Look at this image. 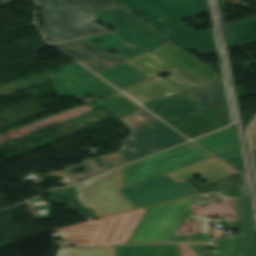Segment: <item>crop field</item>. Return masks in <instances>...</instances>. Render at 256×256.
I'll return each mask as SVG.
<instances>
[{
  "label": "crop field",
  "instance_id": "8a807250",
  "mask_svg": "<svg viewBox=\"0 0 256 256\" xmlns=\"http://www.w3.org/2000/svg\"><path fill=\"white\" fill-rule=\"evenodd\" d=\"M122 120L132 128L131 136L122 143V149L116 154L98 157L103 160V168L98 167L93 159H89L83 161L82 165L68 166L65 171L50 172L47 175L63 177L64 181L60 183L68 186L82 178H89L186 140L144 110ZM151 148L156 150L152 151ZM80 167L87 171L73 175V171Z\"/></svg>",
  "mask_w": 256,
  "mask_h": 256
},
{
  "label": "crop field",
  "instance_id": "ac0d7876",
  "mask_svg": "<svg viewBox=\"0 0 256 256\" xmlns=\"http://www.w3.org/2000/svg\"><path fill=\"white\" fill-rule=\"evenodd\" d=\"M185 49L216 54L213 30L196 33L180 20L207 13L206 0H114ZM178 21L174 26L171 23Z\"/></svg>",
  "mask_w": 256,
  "mask_h": 256
},
{
  "label": "crop field",
  "instance_id": "d1516ede",
  "mask_svg": "<svg viewBox=\"0 0 256 256\" xmlns=\"http://www.w3.org/2000/svg\"><path fill=\"white\" fill-rule=\"evenodd\" d=\"M58 74L50 75L56 91L61 96L74 97L76 99L88 95L102 99L119 94L106 83L98 79L96 75L87 71L77 62L63 66Z\"/></svg>",
  "mask_w": 256,
  "mask_h": 256
},
{
  "label": "crop field",
  "instance_id": "22f410ed",
  "mask_svg": "<svg viewBox=\"0 0 256 256\" xmlns=\"http://www.w3.org/2000/svg\"><path fill=\"white\" fill-rule=\"evenodd\" d=\"M76 188L80 204L94 211H108L110 216L135 210L117 191L115 174L112 172L88 180Z\"/></svg>",
  "mask_w": 256,
  "mask_h": 256
},
{
  "label": "crop field",
  "instance_id": "730fd06b",
  "mask_svg": "<svg viewBox=\"0 0 256 256\" xmlns=\"http://www.w3.org/2000/svg\"><path fill=\"white\" fill-rule=\"evenodd\" d=\"M224 161L244 174L240 155Z\"/></svg>",
  "mask_w": 256,
  "mask_h": 256
},
{
  "label": "crop field",
  "instance_id": "ae1a2a85",
  "mask_svg": "<svg viewBox=\"0 0 256 256\" xmlns=\"http://www.w3.org/2000/svg\"><path fill=\"white\" fill-rule=\"evenodd\" d=\"M95 214L99 218L108 216L107 212H95Z\"/></svg>",
  "mask_w": 256,
  "mask_h": 256
},
{
  "label": "crop field",
  "instance_id": "eef30255",
  "mask_svg": "<svg viewBox=\"0 0 256 256\" xmlns=\"http://www.w3.org/2000/svg\"><path fill=\"white\" fill-rule=\"evenodd\" d=\"M249 137H250L252 149L256 148V131L249 130Z\"/></svg>",
  "mask_w": 256,
  "mask_h": 256
},
{
  "label": "crop field",
  "instance_id": "bc2a9ffb",
  "mask_svg": "<svg viewBox=\"0 0 256 256\" xmlns=\"http://www.w3.org/2000/svg\"><path fill=\"white\" fill-rule=\"evenodd\" d=\"M186 94L205 108L227 102L223 80L193 89Z\"/></svg>",
  "mask_w": 256,
  "mask_h": 256
},
{
  "label": "crop field",
  "instance_id": "dafd665d",
  "mask_svg": "<svg viewBox=\"0 0 256 256\" xmlns=\"http://www.w3.org/2000/svg\"><path fill=\"white\" fill-rule=\"evenodd\" d=\"M56 256H115V246L64 248Z\"/></svg>",
  "mask_w": 256,
  "mask_h": 256
},
{
  "label": "crop field",
  "instance_id": "00972430",
  "mask_svg": "<svg viewBox=\"0 0 256 256\" xmlns=\"http://www.w3.org/2000/svg\"><path fill=\"white\" fill-rule=\"evenodd\" d=\"M94 39L102 40V41H104V43H102V44H94V43L91 42ZM81 40L84 41V42H87L89 44H92V45H94L96 47H99V48H101L103 50H112V49H115V48H119V47L128 45L127 43H125L122 39H120L113 32H111L109 34L95 36V37L81 39Z\"/></svg>",
  "mask_w": 256,
  "mask_h": 256
},
{
  "label": "crop field",
  "instance_id": "34b2d1b8",
  "mask_svg": "<svg viewBox=\"0 0 256 256\" xmlns=\"http://www.w3.org/2000/svg\"><path fill=\"white\" fill-rule=\"evenodd\" d=\"M214 202L209 193L179 201L152 206L129 243L145 242H210L206 217L190 216L191 205ZM199 221V236H181L176 232L187 221Z\"/></svg>",
  "mask_w": 256,
  "mask_h": 256
},
{
  "label": "crop field",
  "instance_id": "750c4746",
  "mask_svg": "<svg viewBox=\"0 0 256 256\" xmlns=\"http://www.w3.org/2000/svg\"><path fill=\"white\" fill-rule=\"evenodd\" d=\"M252 128H255V129H256V122L254 123V125L252 126Z\"/></svg>",
  "mask_w": 256,
  "mask_h": 256
},
{
  "label": "crop field",
  "instance_id": "92a150f3",
  "mask_svg": "<svg viewBox=\"0 0 256 256\" xmlns=\"http://www.w3.org/2000/svg\"><path fill=\"white\" fill-rule=\"evenodd\" d=\"M87 104L93 109L104 106L119 118L142 110L139 106L122 95L109 98L94 105H91L90 103Z\"/></svg>",
  "mask_w": 256,
  "mask_h": 256
},
{
  "label": "crop field",
  "instance_id": "a9b5d70f",
  "mask_svg": "<svg viewBox=\"0 0 256 256\" xmlns=\"http://www.w3.org/2000/svg\"><path fill=\"white\" fill-rule=\"evenodd\" d=\"M68 4L81 3L87 11H103L119 6L112 0H66Z\"/></svg>",
  "mask_w": 256,
  "mask_h": 256
},
{
  "label": "crop field",
  "instance_id": "4a817a6b",
  "mask_svg": "<svg viewBox=\"0 0 256 256\" xmlns=\"http://www.w3.org/2000/svg\"><path fill=\"white\" fill-rule=\"evenodd\" d=\"M98 74L120 90L129 87L139 81L148 79L145 75L140 73L126 62L112 69L102 71Z\"/></svg>",
  "mask_w": 256,
  "mask_h": 256
},
{
  "label": "crop field",
  "instance_id": "214f88e0",
  "mask_svg": "<svg viewBox=\"0 0 256 256\" xmlns=\"http://www.w3.org/2000/svg\"><path fill=\"white\" fill-rule=\"evenodd\" d=\"M118 256H180L177 244L117 246Z\"/></svg>",
  "mask_w": 256,
  "mask_h": 256
},
{
  "label": "crop field",
  "instance_id": "e52e79f7",
  "mask_svg": "<svg viewBox=\"0 0 256 256\" xmlns=\"http://www.w3.org/2000/svg\"><path fill=\"white\" fill-rule=\"evenodd\" d=\"M144 212V209H136L95 222L67 226L59 231H65L63 240H69L73 245H94L100 234L96 245L123 244L127 243Z\"/></svg>",
  "mask_w": 256,
  "mask_h": 256
},
{
  "label": "crop field",
  "instance_id": "d8731c3e",
  "mask_svg": "<svg viewBox=\"0 0 256 256\" xmlns=\"http://www.w3.org/2000/svg\"><path fill=\"white\" fill-rule=\"evenodd\" d=\"M91 14L95 19L102 21L103 24L112 26L115 29L113 32L129 44L126 47L115 49L126 60L170 42L122 7L103 13ZM130 44H133L136 48H132Z\"/></svg>",
  "mask_w": 256,
  "mask_h": 256
},
{
  "label": "crop field",
  "instance_id": "28ad6ade",
  "mask_svg": "<svg viewBox=\"0 0 256 256\" xmlns=\"http://www.w3.org/2000/svg\"><path fill=\"white\" fill-rule=\"evenodd\" d=\"M194 189L184 181L176 182L166 174L123 187L120 191L134 207L148 209L152 205L200 194Z\"/></svg>",
  "mask_w": 256,
  "mask_h": 256
},
{
  "label": "crop field",
  "instance_id": "5a996713",
  "mask_svg": "<svg viewBox=\"0 0 256 256\" xmlns=\"http://www.w3.org/2000/svg\"><path fill=\"white\" fill-rule=\"evenodd\" d=\"M209 157L212 156L189 142L148 159L119 168L121 185L123 187L160 176Z\"/></svg>",
  "mask_w": 256,
  "mask_h": 256
},
{
  "label": "crop field",
  "instance_id": "733c2abd",
  "mask_svg": "<svg viewBox=\"0 0 256 256\" xmlns=\"http://www.w3.org/2000/svg\"><path fill=\"white\" fill-rule=\"evenodd\" d=\"M224 25L229 49L256 41V15Z\"/></svg>",
  "mask_w": 256,
  "mask_h": 256
},
{
  "label": "crop field",
  "instance_id": "412701ff",
  "mask_svg": "<svg viewBox=\"0 0 256 256\" xmlns=\"http://www.w3.org/2000/svg\"><path fill=\"white\" fill-rule=\"evenodd\" d=\"M128 62L150 78L176 68L168 73L194 88L220 79V74L172 42Z\"/></svg>",
  "mask_w": 256,
  "mask_h": 256
},
{
  "label": "crop field",
  "instance_id": "cbeb9de0",
  "mask_svg": "<svg viewBox=\"0 0 256 256\" xmlns=\"http://www.w3.org/2000/svg\"><path fill=\"white\" fill-rule=\"evenodd\" d=\"M58 46L95 72L109 69L126 61L119 54L108 53L80 40L66 42Z\"/></svg>",
  "mask_w": 256,
  "mask_h": 256
},
{
  "label": "crop field",
  "instance_id": "f4fd0767",
  "mask_svg": "<svg viewBox=\"0 0 256 256\" xmlns=\"http://www.w3.org/2000/svg\"><path fill=\"white\" fill-rule=\"evenodd\" d=\"M190 89L193 88L171 75L167 80L156 77L122 91L135 101L141 103L145 108L167 121L195 111L203 110L184 94L161 99Z\"/></svg>",
  "mask_w": 256,
  "mask_h": 256
},
{
  "label": "crop field",
  "instance_id": "d9b57169",
  "mask_svg": "<svg viewBox=\"0 0 256 256\" xmlns=\"http://www.w3.org/2000/svg\"><path fill=\"white\" fill-rule=\"evenodd\" d=\"M196 143L222 160L240 154L236 131L230 128L199 139Z\"/></svg>",
  "mask_w": 256,
  "mask_h": 256
},
{
  "label": "crop field",
  "instance_id": "3316defc",
  "mask_svg": "<svg viewBox=\"0 0 256 256\" xmlns=\"http://www.w3.org/2000/svg\"><path fill=\"white\" fill-rule=\"evenodd\" d=\"M234 207L238 209L239 223L220 220L223 227L239 229L235 239L221 237L216 254L217 256H256L252 232L255 231L249 199H234ZM198 256H214L213 251L206 244H191Z\"/></svg>",
  "mask_w": 256,
  "mask_h": 256
},
{
  "label": "crop field",
  "instance_id": "dd49c442",
  "mask_svg": "<svg viewBox=\"0 0 256 256\" xmlns=\"http://www.w3.org/2000/svg\"><path fill=\"white\" fill-rule=\"evenodd\" d=\"M37 1L42 8L45 23L42 32L51 39V43L58 44L111 32L92 24L96 20L91 14L86 15L80 6L68 7L63 0Z\"/></svg>",
  "mask_w": 256,
  "mask_h": 256
},
{
  "label": "crop field",
  "instance_id": "4177f3b9",
  "mask_svg": "<svg viewBox=\"0 0 256 256\" xmlns=\"http://www.w3.org/2000/svg\"><path fill=\"white\" fill-rule=\"evenodd\" d=\"M215 193L224 199L245 196L243 185H239V186L228 188V189H223Z\"/></svg>",
  "mask_w": 256,
  "mask_h": 256
},
{
  "label": "crop field",
  "instance_id": "5142ce71",
  "mask_svg": "<svg viewBox=\"0 0 256 256\" xmlns=\"http://www.w3.org/2000/svg\"><path fill=\"white\" fill-rule=\"evenodd\" d=\"M236 173L229 167L212 157L196 164L168 173L176 181L185 180L195 175L201 176L208 182Z\"/></svg>",
  "mask_w": 256,
  "mask_h": 256
},
{
  "label": "crop field",
  "instance_id": "d3111659",
  "mask_svg": "<svg viewBox=\"0 0 256 256\" xmlns=\"http://www.w3.org/2000/svg\"><path fill=\"white\" fill-rule=\"evenodd\" d=\"M253 152H254V158H255V164H256V149H254Z\"/></svg>",
  "mask_w": 256,
  "mask_h": 256
}]
</instances>
